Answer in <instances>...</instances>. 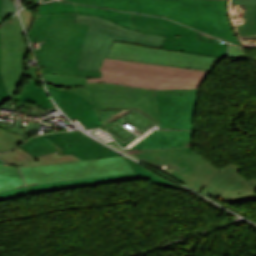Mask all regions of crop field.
Returning a JSON list of instances; mask_svg holds the SVG:
<instances>
[{"instance_id": "obj_32", "label": "crop field", "mask_w": 256, "mask_h": 256, "mask_svg": "<svg viewBox=\"0 0 256 256\" xmlns=\"http://www.w3.org/2000/svg\"><path fill=\"white\" fill-rule=\"evenodd\" d=\"M21 14H22L26 29L28 31V29L32 23L34 15L28 9L21 11Z\"/></svg>"}, {"instance_id": "obj_41", "label": "crop field", "mask_w": 256, "mask_h": 256, "mask_svg": "<svg viewBox=\"0 0 256 256\" xmlns=\"http://www.w3.org/2000/svg\"><path fill=\"white\" fill-rule=\"evenodd\" d=\"M256 61V60H255Z\"/></svg>"}, {"instance_id": "obj_37", "label": "crop field", "mask_w": 256, "mask_h": 256, "mask_svg": "<svg viewBox=\"0 0 256 256\" xmlns=\"http://www.w3.org/2000/svg\"><path fill=\"white\" fill-rule=\"evenodd\" d=\"M0 70H1V40H0Z\"/></svg>"}, {"instance_id": "obj_29", "label": "crop field", "mask_w": 256, "mask_h": 256, "mask_svg": "<svg viewBox=\"0 0 256 256\" xmlns=\"http://www.w3.org/2000/svg\"><path fill=\"white\" fill-rule=\"evenodd\" d=\"M27 194H28V192H27L26 186L21 187V188H17V189H14V190H10V191L0 193V201L8 199V198L27 195Z\"/></svg>"}, {"instance_id": "obj_21", "label": "crop field", "mask_w": 256, "mask_h": 256, "mask_svg": "<svg viewBox=\"0 0 256 256\" xmlns=\"http://www.w3.org/2000/svg\"><path fill=\"white\" fill-rule=\"evenodd\" d=\"M25 182L19 170L0 163V192L25 186Z\"/></svg>"}, {"instance_id": "obj_3", "label": "crop field", "mask_w": 256, "mask_h": 256, "mask_svg": "<svg viewBox=\"0 0 256 256\" xmlns=\"http://www.w3.org/2000/svg\"><path fill=\"white\" fill-rule=\"evenodd\" d=\"M102 78H87L90 82H112L149 89L198 88L206 71L127 62L105 58Z\"/></svg>"}, {"instance_id": "obj_1", "label": "crop field", "mask_w": 256, "mask_h": 256, "mask_svg": "<svg viewBox=\"0 0 256 256\" xmlns=\"http://www.w3.org/2000/svg\"><path fill=\"white\" fill-rule=\"evenodd\" d=\"M159 15L241 45L227 17L228 0H61ZM243 47V46H242Z\"/></svg>"}, {"instance_id": "obj_28", "label": "crop field", "mask_w": 256, "mask_h": 256, "mask_svg": "<svg viewBox=\"0 0 256 256\" xmlns=\"http://www.w3.org/2000/svg\"><path fill=\"white\" fill-rule=\"evenodd\" d=\"M0 134L4 136L3 138L9 140L16 146L29 139L28 137L20 136L2 129H0Z\"/></svg>"}, {"instance_id": "obj_35", "label": "crop field", "mask_w": 256, "mask_h": 256, "mask_svg": "<svg viewBox=\"0 0 256 256\" xmlns=\"http://www.w3.org/2000/svg\"><path fill=\"white\" fill-rule=\"evenodd\" d=\"M197 35H198V39H201V40L223 42V41L217 40V39H215V38H212V37H210V36H207V35H205V34H203V33H200V32H198V31H197ZM223 43H225V42H223Z\"/></svg>"}, {"instance_id": "obj_31", "label": "crop field", "mask_w": 256, "mask_h": 256, "mask_svg": "<svg viewBox=\"0 0 256 256\" xmlns=\"http://www.w3.org/2000/svg\"><path fill=\"white\" fill-rule=\"evenodd\" d=\"M9 98L3 77L0 73V104Z\"/></svg>"}, {"instance_id": "obj_7", "label": "crop field", "mask_w": 256, "mask_h": 256, "mask_svg": "<svg viewBox=\"0 0 256 256\" xmlns=\"http://www.w3.org/2000/svg\"><path fill=\"white\" fill-rule=\"evenodd\" d=\"M20 170L28 185L133 172L122 156L27 167Z\"/></svg>"}, {"instance_id": "obj_14", "label": "crop field", "mask_w": 256, "mask_h": 256, "mask_svg": "<svg viewBox=\"0 0 256 256\" xmlns=\"http://www.w3.org/2000/svg\"><path fill=\"white\" fill-rule=\"evenodd\" d=\"M40 15L43 14H61V13H81V14H90L98 15L100 17L106 18L113 22H116L119 25H122L126 28L136 30V26L133 22L132 15L129 13L107 10L96 7H88L76 4L62 3V2H53L41 5L38 8ZM137 31V30H136Z\"/></svg>"}, {"instance_id": "obj_24", "label": "crop field", "mask_w": 256, "mask_h": 256, "mask_svg": "<svg viewBox=\"0 0 256 256\" xmlns=\"http://www.w3.org/2000/svg\"><path fill=\"white\" fill-rule=\"evenodd\" d=\"M130 160V159H129ZM127 159V161L130 163V165L132 166V168L134 169L135 173L138 175V177L140 179H143V180H147V181H150V182H153V183H157V184H161V185H165V186H169V187H173V188H179V189H183L153 173H151L150 171L144 169L143 167L129 161Z\"/></svg>"}, {"instance_id": "obj_13", "label": "crop field", "mask_w": 256, "mask_h": 256, "mask_svg": "<svg viewBox=\"0 0 256 256\" xmlns=\"http://www.w3.org/2000/svg\"><path fill=\"white\" fill-rule=\"evenodd\" d=\"M45 136L63 149L62 154H72L82 160L118 156L117 153L78 132Z\"/></svg>"}, {"instance_id": "obj_11", "label": "crop field", "mask_w": 256, "mask_h": 256, "mask_svg": "<svg viewBox=\"0 0 256 256\" xmlns=\"http://www.w3.org/2000/svg\"><path fill=\"white\" fill-rule=\"evenodd\" d=\"M236 165L221 169L203 189L201 194L227 203L256 201V180L247 182L238 173Z\"/></svg>"}, {"instance_id": "obj_15", "label": "crop field", "mask_w": 256, "mask_h": 256, "mask_svg": "<svg viewBox=\"0 0 256 256\" xmlns=\"http://www.w3.org/2000/svg\"><path fill=\"white\" fill-rule=\"evenodd\" d=\"M154 94L197 95V89L149 90L132 87L133 107H137L146 112L159 123Z\"/></svg>"}, {"instance_id": "obj_20", "label": "crop field", "mask_w": 256, "mask_h": 256, "mask_svg": "<svg viewBox=\"0 0 256 256\" xmlns=\"http://www.w3.org/2000/svg\"><path fill=\"white\" fill-rule=\"evenodd\" d=\"M19 147L30 153L33 157L54 151L58 152L59 154L62 152L61 148L55 145L44 135L36 136Z\"/></svg>"}, {"instance_id": "obj_6", "label": "crop field", "mask_w": 256, "mask_h": 256, "mask_svg": "<svg viewBox=\"0 0 256 256\" xmlns=\"http://www.w3.org/2000/svg\"><path fill=\"white\" fill-rule=\"evenodd\" d=\"M126 153L153 166L167 165V173L181 183L201 192L220 170L187 148L136 150Z\"/></svg>"}, {"instance_id": "obj_27", "label": "crop field", "mask_w": 256, "mask_h": 256, "mask_svg": "<svg viewBox=\"0 0 256 256\" xmlns=\"http://www.w3.org/2000/svg\"><path fill=\"white\" fill-rule=\"evenodd\" d=\"M14 6L11 0H2V10L0 24L7 20L10 16L15 13Z\"/></svg>"}, {"instance_id": "obj_19", "label": "crop field", "mask_w": 256, "mask_h": 256, "mask_svg": "<svg viewBox=\"0 0 256 256\" xmlns=\"http://www.w3.org/2000/svg\"><path fill=\"white\" fill-rule=\"evenodd\" d=\"M47 87L55 102L64 112L92 108L90 102L74 93L63 91L48 84Z\"/></svg>"}, {"instance_id": "obj_33", "label": "crop field", "mask_w": 256, "mask_h": 256, "mask_svg": "<svg viewBox=\"0 0 256 256\" xmlns=\"http://www.w3.org/2000/svg\"><path fill=\"white\" fill-rule=\"evenodd\" d=\"M0 135V151H8L9 149L15 147L12 143L2 138Z\"/></svg>"}, {"instance_id": "obj_8", "label": "crop field", "mask_w": 256, "mask_h": 256, "mask_svg": "<svg viewBox=\"0 0 256 256\" xmlns=\"http://www.w3.org/2000/svg\"><path fill=\"white\" fill-rule=\"evenodd\" d=\"M138 32L166 36L164 49L222 58L228 44L197 40L196 31L175 22L145 15L132 14Z\"/></svg>"}, {"instance_id": "obj_26", "label": "crop field", "mask_w": 256, "mask_h": 256, "mask_svg": "<svg viewBox=\"0 0 256 256\" xmlns=\"http://www.w3.org/2000/svg\"><path fill=\"white\" fill-rule=\"evenodd\" d=\"M43 73L48 74H63V75H75L84 77H101V72L98 71H86V70H70V69H58V68H46L42 67Z\"/></svg>"}, {"instance_id": "obj_40", "label": "crop field", "mask_w": 256, "mask_h": 256, "mask_svg": "<svg viewBox=\"0 0 256 256\" xmlns=\"http://www.w3.org/2000/svg\"><path fill=\"white\" fill-rule=\"evenodd\" d=\"M42 1H45V0H42Z\"/></svg>"}, {"instance_id": "obj_9", "label": "crop field", "mask_w": 256, "mask_h": 256, "mask_svg": "<svg viewBox=\"0 0 256 256\" xmlns=\"http://www.w3.org/2000/svg\"><path fill=\"white\" fill-rule=\"evenodd\" d=\"M179 56V57H178ZM106 57L209 71L219 58L156 49L114 41Z\"/></svg>"}, {"instance_id": "obj_18", "label": "crop field", "mask_w": 256, "mask_h": 256, "mask_svg": "<svg viewBox=\"0 0 256 256\" xmlns=\"http://www.w3.org/2000/svg\"><path fill=\"white\" fill-rule=\"evenodd\" d=\"M136 178L138 177L135 173H128V174H122V175H116V176H102V177H95V178H88V179H81V180H74V181L28 186V189L31 194H34V193H40V192H47V191L60 190V189H66V188H72V187H79V186L107 183V182H114V181H121V180H129V179H136Z\"/></svg>"}, {"instance_id": "obj_16", "label": "crop field", "mask_w": 256, "mask_h": 256, "mask_svg": "<svg viewBox=\"0 0 256 256\" xmlns=\"http://www.w3.org/2000/svg\"><path fill=\"white\" fill-rule=\"evenodd\" d=\"M0 159L19 168L80 160L72 155H58L55 154V152L33 158L30 154L26 153L19 147L8 153H0Z\"/></svg>"}, {"instance_id": "obj_12", "label": "crop field", "mask_w": 256, "mask_h": 256, "mask_svg": "<svg viewBox=\"0 0 256 256\" xmlns=\"http://www.w3.org/2000/svg\"><path fill=\"white\" fill-rule=\"evenodd\" d=\"M155 97L161 129H193V109L197 96Z\"/></svg>"}, {"instance_id": "obj_25", "label": "crop field", "mask_w": 256, "mask_h": 256, "mask_svg": "<svg viewBox=\"0 0 256 256\" xmlns=\"http://www.w3.org/2000/svg\"><path fill=\"white\" fill-rule=\"evenodd\" d=\"M246 11V22L243 25L237 27L240 35L242 36L256 34V5L246 6Z\"/></svg>"}, {"instance_id": "obj_34", "label": "crop field", "mask_w": 256, "mask_h": 256, "mask_svg": "<svg viewBox=\"0 0 256 256\" xmlns=\"http://www.w3.org/2000/svg\"><path fill=\"white\" fill-rule=\"evenodd\" d=\"M232 4L255 5L256 4V0H232Z\"/></svg>"}, {"instance_id": "obj_30", "label": "crop field", "mask_w": 256, "mask_h": 256, "mask_svg": "<svg viewBox=\"0 0 256 256\" xmlns=\"http://www.w3.org/2000/svg\"><path fill=\"white\" fill-rule=\"evenodd\" d=\"M228 58H234V57H237V59L241 60V59H245V55L242 51V49L236 47V46H233L230 44V47H229V51H228V54L226 55Z\"/></svg>"}, {"instance_id": "obj_2", "label": "crop field", "mask_w": 256, "mask_h": 256, "mask_svg": "<svg viewBox=\"0 0 256 256\" xmlns=\"http://www.w3.org/2000/svg\"><path fill=\"white\" fill-rule=\"evenodd\" d=\"M75 17L38 16L28 34L31 41L41 42L40 50H34L40 66L76 69L88 25L74 22Z\"/></svg>"}, {"instance_id": "obj_10", "label": "crop field", "mask_w": 256, "mask_h": 256, "mask_svg": "<svg viewBox=\"0 0 256 256\" xmlns=\"http://www.w3.org/2000/svg\"><path fill=\"white\" fill-rule=\"evenodd\" d=\"M66 90L90 101L101 122L122 108L132 107L130 86L100 82Z\"/></svg>"}, {"instance_id": "obj_38", "label": "crop field", "mask_w": 256, "mask_h": 256, "mask_svg": "<svg viewBox=\"0 0 256 256\" xmlns=\"http://www.w3.org/2000/svg\"><path fill=\"white\" fill-rule=\"evenodd\" d=\"M0 9H1V0H0Z\"/></svg>"}, {"instance_id": "obj_39", "label": "crop field", "mask_w": 256, "mask_h": 256, "mask_svg": "<svg viewBox=\"0 0 256 256\" xmlns=\"http://www.w3.org/2000/svg\"><path fill=\"white\" fill-rule=\"evenodd\" d=\"M0 162H2V161L0 160Z\"/></svg>"}, {"instance_id": "obj_23", "label": "crop field", "mask_w": 256, "mask_h": 256, "mask_svg": "<svg viewBox=\"0 0 256 256\" xmlns=\"http://www.w3.org/2000/svg\"><path fill=\"white\" fill-rule=\"evenodd\" d=\"M71 119L76 118L87 128L102 126L94 109L66 113ZM103 127V126H102Z\"/></svg>"}, {"instance_id": "obj_4", "label": "crop field", "mask_w": 256, "mask_h": 256, "mask_svg": "<svg viewBox=\"0 0 256 256\" xmlns=\"http://www.w3.org/2000/svg\"><path fill=\"white\" fill-rule=\"evenodd\" d=\"M2 40V70L11 99L37 103L45 108L53 107L49 97L38 83L40 80L36 67H24L23 60L27 54L26 43L22 36V28L18 16H14L0 27ZM10 52V53H8ZM31 76L34 80L27 83L20 97L17 93V85L21 84L22 76Z\"/></svg>"}, {"instance_id": "obj_22", "label": "crop field", "mask_w": 256, "mask_h": 256, "mask_svg": "<svg viewBox=\"0 0 256 256\" xmlns=\"http://www.w3.org/2000/svg\"><path fill=\"white\" fill-rule=\"evenodd\" d=\"M44 79L46 83H49L61 89L84 86L87 83L86 78L75 76L44 74Z\"/></svg>"}, {"instance_id": "obj_36", "label": "crop field", "mask_w": 256, "mask_h": 256, "mask_svg": "<svg viewBox=\"0 0 256 256\" xmlns=\"http://www.w3.org/2000/svg\"><path fill=\"white\" fill-rule=\"evenodd\" d=\"M135 149H142L141 141L138 142L136 145H134L131 149L129 150H135Z\"/></svg>"}, {"instance_id": "obj_17", "label": "crop field", "mask_w": 256, "mask_h": 256, "mask_svg": "<svg viewBox=\"0 0 256 256\" xmlns=\"http://www.w3.org/2000/svg\"><path fill=\"white\" fill-rule=\"evenodd\" d=\"M192 134V131L158 130L142 139L143 149L185 147V142H191Z\"/></svg>"}, {"instance_id": "obj_5", "label": "crop field", "mask_w": 256, "mask_h": 256, "mask_svg": "<svg viewBox=\"0 0 256 256\" xmlns=\"http://www.w3.org/2000/svg\"><path fill=\"white\" fill-rule=\"evenodd\" d=\"M75 21L89 24L77 69L99 71L113 40L161 48L165 38L138 33L98 16L78 14Z\"/></svg>"}]
</instances>
